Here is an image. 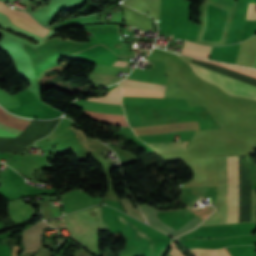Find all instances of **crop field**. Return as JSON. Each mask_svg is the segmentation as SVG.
<instances>
[{
  "mask_svg": "<svg viewBox=\"0 0 256 256\" xmlns=\"http://www.w3.org/2000/svg\"><path fill=\"white\" fill-rule=\"evenodd\" d=\"M0 11L7 14L11 21L25 29H28L40 36H44L49 29L40 27L30 16L26 13L18 10H12L5 7L3 3L0 2Z\"/></svg>",
  "mask_w": 256,
  "mask_h": 256,
  "instance_id": "3",
  "label": "crop field"
},
{
  "mask_svg": "<svg viewBox=\"0 0 256 256\" xmlns=\"http://www.w3.org/2000/svg\"><path fill=\"white\" fill-rule=\"evenodd\" d=\"M141 248L140 247H128L126 248L120 256H140Z\"/></svg>",
  "mask_w": 256,
  "mask_h": 256,
  "instance_id": "15",
  "label": "crop field"
},
{
  "mask_svg": "<svg viewBox=\"0 0 256 256\" xmlns=\"http://www.w3.org/2000/svg\"><path fill=\"white\" fill-rule=\"evenodd\" d=\"M33 212L31 205L25 204L22 199L12 201L9 205V215L16 224L26 221Z\"/></svg>",
  "mask_w": 256,
  "mask_h": 256,
  "instance_id": "5",
  "label": "crop field"
},
{
  "mask_svg": "<svg viewBox=\"0 0 256 256\" xmlns=\"http://www.w3.org/2000/svg\"><path fill=\"white\" fill-rule=\"evenodd\" d=\"M220 198L219 212L209 218L203 225L225 224L226 223V205H227V180H228V206H227V223H238V204H239V170L238 156L217 158Z\"/></svg>",
  "mask_w": 256,
  "mask_h": 256,
  "instance_id": "1",
  "label": "crop field"
},
{
  "mask_svg": "<svg viewBox=\"0 0 256 256\" xmlns=\"http://www.w3.org/2000/svg\"><path fill=\"white\" fill-rule=\"evenodd\" d=\"M120 98H121V91H120V87L118 86L113 90H111L104 97H92V98H88L87 100L121 105Z\"/></svg>",
  "mask_w": 256,
  "mask_h": 256,
  "instance_id": "9",
  "label": "crop field"
},
{
  "mask_svg": "<svg viewBox=\"0 0 256 256\" xmlns=\"http://www.w3.org/2000/svg\"><path fill=\"white\" fill-rule=\"evenodd\" d=\"M119 219L126 224L127 226H129L131 229L135 230L138 234L142 235L144 239H146L149 243L150 246V253L149 256H154L155 253V245H154V241L148 236L146 235L144 232H142L141 230H139L137 227H135L134 225H132L130 222H128L127 220H125L123 217L119 216Z\"/></svg>",
  "mask_w": 256,
  "mask_h": 256,
  "instance_id": "13",
  "label": "crop field"
},
{
  "mask_svg": "<svg viewBox=\"0 0 256 256\" xmlns=\"http://www.w3.org/2000/svg\"><path fill=\"white\" fill-rule=\"evenodd\" d=\"M195 73L202 79L218 85L224 92L232 96H243L256 100V87L241 83L220 74L214 73L190 63Z\"/></svg>",
  "mask_w": 256,
  "mask_h": 256,
  "instance_id": "2",
  "label": "crop field"
},
{
  "mask_svg": "<svg viewBox=\"0 0 256 256\" xmlns=\"http://www.w3.org/2000/svg\"><path fill=\"white\" fill-rule=\"evenodd\" d=\"M182 54L197 56V57H201V58L206 59L209 53L192 51V50H188V49L183 48Z\"/></svg>",
  "mask_w": 256,
  "mask_h": 256,
  "instance_id": "18",
  "label": "crop field"
},
{
  "mask_svg": "<svg viewBox=\"0 0 256 256\" xmlns=\"http://www.w3.org/2000/svg\"><path fill=\"white\" fill-rule=\"evenodd\" d=\"M171 256H184L178 249V247L172 242L169 253Z\"/></svg>",
  "mask_w": 256,
  "mask_h": 256,
  "instance_id": "19",
  "label": "crop field"
},
{
  "mask_svg": "<svg viewBox=\"0 0 256 256\" xmlns=\"http://www.w3.org/2000/svg\"><path fill=\"white\" fill-rule=\"evenodd\" d=\"M123 89V96L129 97H152V98H159L163 97V93L154 90L148 89H138V88H126L122 87Z\"/></svg>",
  "mask_w": 256,
  "mask_h": 256,
  "instance_id": "7",
  "label": "crop field"
},
{
  "mask_svg": "<svg viewBox=\"0 0 256 256\" xmlns=\"http://www.w3.org/2000/svg\"><path fill=\"white\" fill-rule=\"evenodd\" d=\"M188 141L185 142H172V143H155L148 144L156 152H171V151H184Z\"/></svg>",
  "mask_w": 256,
  "mask_h": 256,
  "instance_id": "8",
  "label": "crop field"
},
{
  "mask_svg": "<svg viewBox=\"0 0 256 256\" xmlns=\"http://www.w3.org/2000/svg\"><path fill=\"white\" fill-rule=\"evenodd\" d=\"M28 124V121L10 116L0 109V137H16Z\"/></svg>",
  "mask_w": 256,
  "mask_h": 256,
  "instance_id": "4",
  "label": "crop field"
},
{
  "mask_svg": "<svg viewBox=\"0 0 256 256\" xmlns=\"http://www.w3.org/2000/svg\"><path fill=\"white\" fill-rule=\"evenodd\" d=\"M194 59H196V58H194ZM198 60L209 62V63L215 64V65H219L224 68L230 69L232 71L238 72L240 74L256 78V70H254V69L236 67V66H231V65H227V64H223V63H219V62L207 61V60H202V59H198Z\"/></svg>",
  "mask_w": 256,
  "mask_h": 256,
  "instance_id": "12",
  "label": "crop field"
},
{
  "mask_svg": "<svg viewBox=\"0 0 256 256\" xmlns=\"http://www.w3.org/2000/svg\"><path fill=\"white\" fill-rule=\"evenodd\" d=\"M246 19L247 20H256V4L249 3Z\"/></svg>",
  "mask_w": 256,
  "mask_h": 256,
  "instance_id": "17",
  "label": "crop field"
},
{
  "mask_svg": "<svg viewBox=\"0 0 256 256\" xmlns=\"http://www.w3.org/2000/svg\"><path fill=\"white\" fill-rule=\"evenodd\" d=\"M127 64V62L125 61H119V60H116L115 63L113 64L114 66H121V67H125Z\"/></svg>",
  "mask_w": 256,
  "mask_h": 256,
  "instance_id": "20",
  "label": "crop field"
},
{
  "mask_svg": "<svg viewBox=\"0 0 256 256\" xmlns=\"http://www.w3.org/2000/svg\"><path fill=\"white\" fill-rule=\"evenodd\" d=\"M123 79L118 76H109V75H98V74H90L87 81L105 85H111L119 80Z\"/></svg>",
  "mask_w": 256,
  "mask_h": 256,
  "instance_id": "11",
  "label": "crop field"
},
{
  "mask_svg": "<svg viewBox=\"0 0 256 256\" xmlns=\"http://www.w3.org/2000/svg\"><path fill=\"white\" fill-rule=\"evenodd\" d=\"M183 47L193 49V50H198V51H206V52H209L211 49V47H204V46L196 45L186 41L184 42Z\"/></svg>",
  "mask_w": 256,
  "mask_h": 256,
  "instance_id": "16",
  "label": "crop field"
},
{
  "mask_svg": "<svg viewBox=\"0 0 256 256\" xmlns=\"http://www.w3.org/2000/svg\"><path fill=\"white\" fill-rule=\"evenodd\" d=\"M89 113L93 120L102 121L110 124L129 126L128 123L125 121L124 115H111V114H104V113H97V112H90V111Z\"/></svg>",
  "mask_w": 256,
  "mask_h": 256,
  "instance_id": "6",
  "label": "crop field"
},
{
  "mask_svg": "<svg viewBox=\"0 0 256 256\" xmlns=\"http://www.w3.org/2000/svg\"><path fill=\"white\" fill-rule=\"evenodd\" d=\"M224 251L226 252L227 256H229L228 251L226 250V248H223ZM223 249H219V250H201V249H191L189 250L190 252L193 250H196L197 252L193 253V255L195 256H226V254L224 253Z\"/></svg>",
  "mask_w": 256,
  "mask_h": 256,
  "instance_id": "14",
  "label": "crop field"
},
{
  "mask_svg": "<svg viewBox=\"0 0 256 256\" xmlns=\"http://www.w3.org/2000/svg\"><path fill=\"white\" fill-rule=\"evenodd\" d=\"M120 86H126V87H138V88H150V89H157L164 93L165 87L163 85H157V84H151V83H145V82H139L134 80H128L125 79L118 83Z\"/></svg>",
  "mask_w": 256,
  "mask_h": 256,
  "instance_id": "10",
  "label": "crop field"
}]
</instances>
